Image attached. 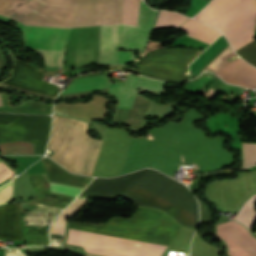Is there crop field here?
<instances>
[{"instance_id":"1","label":"crop field","mask_w":256,"mask_h":256,"mask_svg":"<svg viewBox=\"0 0 256 256\" xmlns=\"http://www.w3.org/2000/svg\"><path fill=\"white\" fill-rule=\"evenodd\" d=\"M123 0H0V15L23 24L78 27L120 23Z\"/></svg>"},{"instance_id":"2","label":"crop field","mask_w":256,"mask_h":256,"mask_svg":"<svg viewBox=\"0 0 256 256\" xmlns=\"http://www.w3.org/2000/svg\"><path fill=\"white\" fill-rule=\"evenodd\" d=\"M177 182L152 169L129 183L121 195L141 206L161 209L184 226L196 227V199L186 186Z\"/></svg>"},{"instance_id":"3","label":"crop field","mask_w":256,"mask_h":256,"mask_svg":"<svg viewBox=\"0 0 256 256\" xmlns=\"http://www.w3.org/2000/svg\"><path fill=\"white\" fill-rule=\"evenodd\" d=\"M89 123L54 115L48 146L57 163L76 174L92 175L102 142L87 136Z\"/></svg>"},{"instance_id":"4","label":"crop field","mask_w":256,"mask_h":256,"mask_svg":"<svg viewBox=\"0 0 256 256\" xmlns=\"http://www.w3.org/2000/svg\"><path fill=\"white\" fill-rule=\"evenodd\" d=\"M194 18L220 29L236 51L252 41L256 0H212Z\"/></svg>"},{"instance_id":"5","label":"crop field","mask_w":256,"mask_h":256,"mask_svg":"<svg viewBox=\"0 0 256 256\" xmlns=\"http://www.w3.org/2000/svg\"><path fill=\"white\" fill-rule=\"evenodd\" d=\"M156 11L140 3L137 26L116 24L101 26L100 62L128 63L133 60V52L118 49L142 50L150 31Z\"/></svg>"},{"instance_id":"6","label":"crop field","mask_w":256,"mask_h":256,"mask_svg":"<svg viewBox=\"0 0 256 256\" xmlns=\"http://www.w3.org/2000/svg\"><path fill=\"white\" fill-rule=\"evenodd\" d=\"M68 237L87 241L99 242L104 244L116 245L132 249L144 250L149 252L161 253L168 245L118 237L113 235L77 230L69 228ZM68 238L67 243L82 245L86 252L105 255V256H162L161 254L149 253L144 251L132 250L127 248L115 247L99 243L87 242Z\"/></svg>"},{"instance_id":"7","label":"crop field","mask_w":256,"mask_h":256,"mask_svg":"<svg viewBox=\"0 0 256 256\" xmlns=\"http://www.w3.org/2000/svg\"><path fill=\"white\" fill-rule=\"evenodd\" d=\"M50 125V116L0 113V142L24 139L35 143V154H44Z\"/></svg>"},{"instance_id":"8","label":"crop field","mask_w":256,"mask_h":256,"mask_svg":"<svg viewBox=\"0 0 256 256\" xmlns=\"http://www.w3.org/2000/svg\"><path fill=\"white\" fill-rule=\"evenodd\" d=\"M202 50L167 49L153 50L137 64L140 74L169 81L181 80L178 74L187 72V64Z\"/></svg>"},{"instance_id":"9","label":"crop field","mask_w":256,"mask_h":256,"mask_svg":"<svg viewBox=\"0 0 256 256\" xmlns=\"http://www.w3.org/2000/svg\"><path fill=\"white\" fill-rule=\"evenodd\" d=\"M70 29L24 25L25 45L42 52L47 59V66H62L63 46Z\"/></svg>"},{"instance_id":"10","label":"crop field","mask_w":256,"mask_h":256,"mask_svg":"<svg viewBox=\"0 0 256 256\" xmlns=\"http://www.w3.org/2000/svg\"><path fill=\"white\" fill-rule=\"evenodd\" d=\"M97 44L98 26L73 28L65 53L67 68L97 63Z\"/></svg>"},{"instance_id":"11","label":"crop field","mask_w":256,"mask_h":256,"mask_svg":"<svg viewBox=\"0 0 256 256\" xmlns=\"http://www.w3.org/2000/svg\"><path fill=\"white\" fill-rule=\"evenodd\" d=\"M217 236L226 242L231 256H256V239L242 225L233 221L218 225Z\"/></svg>"},{"instance_id":"12","label":"crop field","mask_w":256,"mask_h":256,"mask_svg":"<svg viewBox=\"0 0 256 256\" xmlns=\"http://www.w3.org/2000/svg\"><path fill=\"white\" fill-rule=\"evenodd\" d=\"M15 67L9 79L3 83L32 90L56 97L59 93L56 85L41 80L42 75L30 66H26L14 59Z\"/></svg>"},{"instance_id":"13","label":"crop field","mask_w":256,"mask_h":256,"mask_svg":"<svg viewBox=\"0 0 256 256\" xmlns=\"http://www.w3.org/2000/svg\"><path fill=\"white\" fill-rule=\"evenodd\" d=\"M215 74L231 84L247 88L256 87V69L241 58L229 62Z\"/></svg>"},{"instance_id":"14","label":"crop field","mask_w":256,"mask_h":256,"mask_svg":"<svg viewBox=\"0 0 256 256\" xmlns=\"http://www.w3.org/2000/svg\"><path fill=\"white\" fill-rule=\"evenodd\" d=\"M0 237L12 240L23 239L19 204L0 206Z\"/></svg>"},{"instance_id":"15","label":"crop field","mask_w":256,"mask_h":256,"mask_svg":"<svg viewBox=\"0 0 256 256\" xmlns=\"http://www.w3.org/2000/svg\"><path fill=\"white\" fill-rule=\"evenodd\" d=\"M151 100L141 94H136L129 109L117 108L113 121L115 124L130 125L135 132L138 124L143 118ZM148 111V110H147Z\"/></svg>"},{"instance_id":"16","label":"crop field","mask_w":256,"mask_h":256,"mask_svg":"<svg viewBox=\"0 0 256 256\" xmlns=\"http://www.w3.org/2000/svg\"><path fill=\"white\" fill-rule=\"evenodd\" d=\"M49 159L44 156L41 158V163L45 168L48 180L51 182L85 188L93 179L92 177L70 174L64 168Z\"/></svg>"},{"instance_id":"17","label":"crop field","mask_w":256,"mask_h":256,"mask_svg":"<svg viewBox=\"0 0 256 256\" xmlns=\"http://www.w3.org/2000/svg\"><path fill=\"white\" fill-rule=\"evenodd\" d=\"M3 106L0 107V112H13V113H33V114H50L52 105L41 102L26 100L25 105L21 104L17 107L9 103L8 95L0 93Z\"/></svg>"},{"instance_id":"18","label":"crop field","mask_w":256,"mask_h":256,"mask_svg":"<svg viewBox=\"0 0 256 256\" xmlns=\"http://www.w3.org/2000/svg\"><path fill=\"white\" fill-rule=\"evenodd\" d=\"M180 29L187 32V36L210 44L220 35V32L195 20L189 19Z\"/></svg>"},{"instance_id":"19","label":"crop field","mask_w":256,"mask_h":256,"mask_svg":"<svg viewBox=\"0 0 256 256\" xmlns=\"http://www.w3.org/2000/svg\"><path fill=\"white\" fill-rule=\"evenodd\" d=\"M138 79L139 77L129 74L126 82L114 83L111 86L109 93L119 98L120 103L118 107L129 108L135 95L134 90Z\"/></svg>"},{"instance_id":"20","label":"crop field","mask_w":256,"mask_h":256,"mask_svg":"<svg viewBox=\"0 0 256 256\" xmlns=\"http://www.w3.org/2000/svg\"><path fill=\"white\" fill-rule=\"evenodd\" d=\"M113 83L106 74L75 79L63 93H72L110 87Z\"/></svg>"},{"instance_id":"21","label":"crop field","mask_w":256,"mask_h":256,"mask_svg":"<svg viewBox=\"0 0 256 256\" xmlns=\"http://www.w3.org/2000/svg\"><path fill=\"white\" fill-rule=\"evenodd\" d=\"M256 194L244 203L235 220L243 223L248 229L256 222Z\"/></svg>"},{"instance_id":"22","label":"crop field","mask_w":256,"mask_h":256,"mask_svg":"<svg viewBox=\"0 0 256 256\" xmlns=\"http://www.w3.org/2000/svg\"><path fill=\"white\" fill-rule=\"evenodd\" d=\"M1 154H34V144L23 140L0 143Z\"/></svg>"},{"instance_id":"23","label":"crop field","mask_w":256,"mask_h":256,"mask_svg":"<svg viewBox=\"0 0 256 256\" xmlns=\"http://www.w3.org/2000/svg\"><path fill=\"white\" fill-rule=\"evenodd\" d=\"M186 19L188 18L175 12L160 11L154 28L179 26Z\"/></svg>"},{"instance_id":"24","label":"crop field","mask_w":256,"mask_h":256,"mask_svg":"<svg viewBox=\"0 0 256 256\" xmlns=\"http://www.w3.org/2000/svg\"><path fill=\"white\" fill-rule=\"evenodd\" d=\"M140 0H124L122 23L136 25Z\"/></svg>"},{"instance_id":"25","label":"crop field","mask_w":256,"mask_h":256,"mask_svg":"<svg viewBox=\"0 0 256 256\" xmlns=\"http://www.w3.org/2000/svg\"><path fill=\"white\" fill-rule=\"evenodd\" d=\"M243 147V168L256 165V144L242 143Z\"/></svg>"},{"instance_id":"26","label":"crop field","mask_w":256,"mask_h":256,"mask_svg":"<svg viewBox=\"0 0 256 256\" xmlns=\"http://www.w3.org/2000/svg\"><path fill=\"white\" fill-rule=\"evenodd\" d=\"M236 52L256 67V40Z\"/></svg>"},{"instance_id":"27","label":"crop field","mask_w":256,"mask_h":256,"mask_svg":"<svg viewBox=\"0 0 256 256\" xmlns=\"http://www.w3.org/2000/svg\"><path fill=\"white\" fill-rule=\"evenodd\" d=\"M235 56L230 46L223 51L213 62H211L206 68L216 72L218 69H220L222 66H224L226 63H228L227 59L228 57Z\"/></svg>"},{"instance_id":"28","label":"crop field","mask_w":256,"mask_h":256,"mask_svg":"<svg viewBox=\"0 0 256 256\" xmlns=\"http://www.w3.org/2000/svg\"><path fill=\"white\" fill-rule=\"evenodd\" d=\"M51 192L61 193V194H68L76 197L83 189L75 188L67 185L55 184L50 183Z\"/></svg>"},{"instance_id":"29","label":"crop field","mask_w":256,"mask_h":256,"mask_svg":"<svg viewBox=\"0 0 256 256\" xmlns=\"http://www.w3.org/2000/svg\"><path fill=\"white\" fill-rule=\"evenodd\" d=\"M6 181H4L3 183H5ZM13 185H14V179L8 184L0 187V204L8 203L13 198V195H14Z\"/></svg>"},{"instance_id":"30","label":"crop field","mask_w":256,"mask_h":256,"mask_svg":"<svg viewBox=\"0 0 256 256\" xmlns=\"http://www.w3.org/2000/svg\"><path fill=\"white\" fill-rule=\"evenodd\" d=\"M164 83L165 82L141 77L138 86L164 92V89H163Z\"/></svg>"},{"instance_id":"31","label":"crop field","mask_w":256,"mask_h":256,"mask_svg":"<svg viewBox=\"0 0 256 256\" xmlns=\"http://www.w3.org/2000/svg\"><path fill=\"white\" fill-rule=\"evenodd\" d=\"M0 88H3V89L12 88L13 90H15L17 92L23 93V94L28 95V96L53 100V97L45 96V95H42V94L34 93V92H31V91L23 90V89H20V88L12 87V86L1 84V83H0Z\"/></svg>"},{"instance_id":"32","label":"crop field","mask_w":256,"mask_h":256,"mask_svg":"<svg viewBox=\"0 0 256 256\" xmlns=\"http://www.w3.org/2000/svg\"><path fill=\"white\" fill-rule=\"evenodd\" d=\"M94 91H100L104 94H108V91H109V88L108 89H102V90H94ZM94 91H87V92H80V93H72V94H65V95H58L57 99H62V98H66L68 100H73V99H77L79 97H83V96H86L87 94L91 93V92H94Z\"/></svg>"},{"instance_id":"33","label":"crop field","mask_w":256,"mask_h":256,"mask_svg":"<svg viewBox=\"0 0 256 256\" xmlns=\"http://www.w3.org/2000/svg\"><path fill=\"white\" fill-rule=\"evenodd\" d=\"M199 202H200V212H201V220H200V223H201L209 220L211 212L205 204H203L201 201Z\"/></svg>"},{"instance_id":"34","label":"crop field","mask_w":256,"mask_h":256,"mask_svg":"<svg viewBox=\"0 0 256 256\" xmlns=\"http://www.w3.org/2000/svg\"><path fill=\"white\" fill-rule=\"evenodd\" d=\"M100 74H103V73H100ZM92 75H97V74H92ZM85 76H91V75H85ZM85 76H80V77H85Z\"/></svg>"},{"instance_id":"35","label":"crop field","mask_w":256,"mask_h":256,"mask_svg":"<svg viewBox=\"0 0 256 256\" xmlns=\"http://www.w3.org/2000/svg\"><path fill=\"white\" fill-rule=\"evenodd\" d=\"M87 256H89V255H87Z\"/></svg>"},{"instance_id":"36","label":"crop field","mask_w":256,"mask_h":256,"mask_svg":"<svg viewBox=\"0 0 256 256\" xmlns=\"http://www.w3.org/2000/svg\"><path fill=\"white\" fill-rule=\"evenodd\" d=\"M0 105H1V103H0Z\"/></svg>"}]
</instances>
